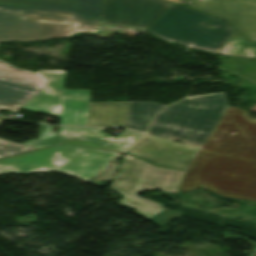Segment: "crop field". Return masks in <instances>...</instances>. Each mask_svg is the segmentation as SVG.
<instances>
[{
  "instance_id": "obj_1",
  "label": "crop field",
  "mask_w": 256,
  "mask_h": 256,
  "mask_svg": "<svg viewBox=\"0 0 256 256\" xmlns=\"http://www.w3.org/2000/svg\"><path fill=\"white\" fill-rule=\"evenodd\" d=\"M189 170L256 183V120L229 106Z\"/></svg>"
},
{
  "instance_id": "obj_2",
  "label": "crop field",
  "mask_w": 256,
  "mask_h": 256,
  "mask_svg": "<svg viewBox=\"0 0 256 256\" xmlns=\"http://www.w3.org/2000/svg\"><path fill=\"white\" fill-rule=\"evenodd\" d=\"M102 0H0V41L43 39L38 21H100Z\"/></svg>"
},
{
  "instance_id": "obj_3",
  "label": "crop field",
  "mask_w": 256,
  "mask_h": 256,
  "mask_svg": "<svg viewBox=\"0 0 256 256\" xmlns=\"http://www.w3.org/2000/svg\"><path fill=\"white\" fill-rule=\"evenodd\" d=\"M227 107L224 93L190 96L157 115L149 134L202 148Z\"/></svg>"
},
{
  "instance_id": "obj_4",
  "label": "crop field",
  "mask_w": 256,
  "mask_h": 256,
  "mask_svg": "<svg viewBox=\"0 0 256 256\" xmlns=\"http://www.w3.org/2000/svg\"><path fill=\"white\" fill-rule=\"evenodd\" d=\"M185 173L157 168L126 154L111 188L124 195L120 202L136 208L148 217V221L162 226L171 216L181 217V213L163 210L162 205L137 196L151 189L177 193Z\"/></svg>"
},
{
  "instance_id": "obj_5",
  "label": "crop field",
  "mask_w": 256,
  "mask_h": 256,
  "mask_svg": "<svg viewBox=\"0 0 256 256\" xmlns=\"http://www.w3.org/2000/svg\"><path fill=\"white\" fill-rule=\"evenodd\" d=\"M120 154L96 148L54 146L0 160V174L27 173L42 166L87 181Z\"/></svg>"
},
{
  "instance_id": "obj_6",
  "label": "crop field",
  "mask_w": 256,
  "mask_h": 256,
  "mask_svg": "<svg viewBox=\"0 0 256 256\" xmlns=\"http://www.w3.org/2000/svg\"><path fill=\"white\" fill-rule=\"evenodd\" d=\"M233 30L226 22L175 4L147 31L170 42L218 53Z\"/></svg>"
},
{
  "instance_id": "obj_7",
  "label": "crop field",
  "mask_w": 256,
  "mask_h": 256,
  "mask_svg": "<svg viewBox=\"0 0 256 256\" xmlns=\"http://www.w3.org/2000/svg\"><path fill=\"white\" fill-rule=\"evenodd\" d=\"M173 5L165 0H104L101 23L147 30Z\"/></svg>"
},
{
  "instance_id": "obj_8",
  "label": "crop field",
  "mask_w": 256,
  "mask_h": 256,
  "mask_svg": "<svg viewBox=\"0 0 256 256\" xmlns=\"http://www.w3.org/2000/svg\"><path fill=\"white\" fill-rule=\"evenodd\" d=\"M212 16L226 20L242 34L256 40V0H178Z\"/></svg>"
},
{
  "instance_id": "obj_9",
  "label": "crop field",
  "mask_w": 256,
  "mask_h": 256,
  "mask_svg": "<svg viewBox=\"0 0 256 256\" xmlns=\"http://www.w3.org/2000/svg\"><path fill=\"white\" fill-rule=\"evenodd\" d=\"M199 151V149L146 135L127 153L158 166L188 170Z\"/></svg>"
},
{
  "instance_id": "obj_10",
  "label": "crop field",
  "mask_w": 256,
  "mask_h": 256,
  "mask_svg": "<svg viewBox=\"0 0 256 256\" xmlns=\"http://www.w3.org/2000/svg\"><path fill=\"white\" fill-rule=\"evenodd\" d=\"M103 129L59 126L58 144H73L81 146L98 147L123 152L130 145L140 139L144 134L125 130L116 137L101 132Z\"/></svg>"
},
{
  "instance_id": "obj_11",
  "label": "crop field",
  "mask_w": 256,
  "mask_h": 256,
  "mask_svg": "<svg viewBox=\"0 0 256 256\" xmlns=\"http://www.w3.org/2000/svg\"><path fill=\"white\" fill-rule=\"evenodd\" d=\"M40 89V87L0 77V109L3 108L15 112L20 104L27 101ZM2 122L0 120V124ZM32 150L36 149L0 139V158Z\"/></svg>"
},
{
  "instance_id": "obj_12",
  "label": "crop field",
  "mask_w": 256,
  "mask_h": 256,
  "mask_svg": "<svg viewBox=\"0 0 256 256\" xmlns=\"http://www.w3.org/2000/svg\"><path fill=\"white\" fill-rule=\"evenodd\" d=\"M182 183L201 186L225 198L256 202V184L187 171Z\"/></svg>"
},
{
  "instance_id": "obj_13",
  "label": "crop field",
  "mask_w": 256,
  "mask_h": 256,
  "mask_svg": "<svg viewBox=\"0 0 256 256\" xmlns=\"http://www.w3.org/2000/svg\"><path fill=\"white\" fill-rule=\"evenodd\" d=\"M90 90H64L60 124L86 126Z\"/></svg>"
},
{
  "instance_id": "obj_14",
  "label": "crop field",
  "mask_w": 256,
  "mask_h": 256,
  "mask_svg": "<svg viewBox=\"0 0 256 256\" xmlns=\"http://www.w3.org/2000/svg\"><path fill=\"white\" fill-rule=\"evenodd\" d=\"M129 102H90L88 126L125 127Z\"/></svg>"
},
{
  "instance_id": "obj_15",
  "label": "crop field",
  "mask_w": 256,
  "mask_h": 256,
  "mask_svg": "<svg viewBox=\"0 0 256 256\" xmlns=\"http://www.w3.org/2000/svg\"><path fill=\"white\" fill-rule=\"evenodd\" d=\"M163 107L152 102H130L126 127L146 133L148 123Z\"/></svg>"
},
{
  "instance_id": "obj_16",
  "label": "crop field",
  "mask_w": 256,
  "mask_h": 256,
  "mask_svg": "<svg viewBox=\"0 0 256 256\" xmlns=\"http://www.w3.org/2000/svg\"><path fill=\"white\" fill-rule=\"evenodd\" d=\"M219 53L230 56L256 57V41L248 40L235 30Z\"/></svg>"
},
{
  "instance_id": "obj_17",
  "label": "crop field",
  "mask_w": 256,
  "mask_h": 256,
  "mask_svg": "<svg viewBox=\"0 0 256 256\" xmlns=\"http://www.w3.org/2000/svg\"><path fill=\"white\" fill-rule=\"evenodd\" d=\"M38 23L42 28L44 39L68 35L75 30L94 31L98 27V25L86 26L75 21H72L71 23H52V22H38Z\"/></svg>"
},
{
  "instance_id": "obj_18",
  "label": "crop field",
  "mask_w": 256,
  "mask_h": 256,
  "mask_svg": "<svg viewBox=\"0 0 256 256\" xmlns=\"http://www.w3.org/2000/svg\"><path fill=\"white\" fill-rule=\"evenodd\" d=\"M61 99V97L41 92L32 100L24 104L22 108L46 114L59 103H61Z\"/></svg>"
},
{
  "instance_id": "obj_19",
  "label": "crop field",
  "mask_w": 256,
  "mask_h": 256,
  "mask_svg": "<svg viewBox=\"0 0 256 256\" xmlns=\"http://www.w3.org/2000/svg\"><path fill=\"white\" fill-rule=\"evenodd\" d=\"M0 75L41 87L39 78L28 72H17L9 67L0 65Z\"/></svg>"
},
{
  "instance_id": "obj_20",
  "label": "crop field",
  "mask_w": 256,
  "mask_h": 256,
  "mask_svg": "<svg viewBox=\"0 0 256 256\" xmlns=\"http://www.w3.org/2000/svg\"><path fill=\"white\" fill-rule=\"evenodd\" d=\"M38 74L43 78L45 82V88L54 90L62 93V85H63V76L64 72L61 71H53L46 72L40 71Z\"/></svg>"
},
{
  "instance_id": "obj_21",
  "label": "crop field",
  "mask_w": 256,
  "mask_h": 256,
  "mask_svg": "<svg viewBox=\"0 0 256 256\" xmlns=\"http://www.w3.org/2000/svg\"><path fill=\"white\" fill-rule=\"evenodd\" d=\"M118 163H112L108 166V168L101 174L99 175L97 178V180L102 181L105 179H112L114 177V173L117 169Z\"/></svg>"
},
{
  "instance_id": "obj_22",
  "label": "crop field",
  "mask_w": 256,
  "mask_h": 256,
  "mask_svg": "<svg viewBox=\"0 0 256 256\" xmlns=\"http://www.w3.org/2000/svg\"><path fill=\"white\" fill-rule=\"evenodd\" d=\"M60 106L61 104H59L57 107H55L53 110H51L49 113H47V115H51L54 117H58L59 118V114H60Z\"/></svg>"
},
{
  "instance_id": "obj_23",
  "label": "crop field",
  "mask_w": 256,
  "mask_h": 256,
  "mask_svg": "<svg viewBox=\"0 0 256 256\" xmlns=\"http://www.w3.org/2000/svg\"><path fill=\"white\" fill-rule=\"evenodd\" d=\"M195 188H199V187L182 184L178 193L183 192V191H187V190H191V189H195Z\"/></svg>"
},
{
  "instance_id": "obj_24",
  "label": "crop field",
  "mask_w": 256,
  "mask_h": 256,
  "mask_svg": "<svg viewBox=\"0 0 256 256\" xmlns=\"http://www.w3.org/2000/svg\"><path fill=\"white\" fill-rule=\"evenodd\" d=\"M43 92H47V93H51V94H55V95H58V96H61L62 97V94L61 93H57V92H53V91H50V90H46L44 89Z\"/></svg>"
},
{
  "instance_id": "obj_25",
  "label": "crop field",
  "mask_w": 256,
  "mask_h": 256,
  "mask_svg": "<svg viewBox=\"0 0 256 256\" xmlns=\"http://www.w3.org/2000/svg\"><path fill=\"white\" fill-rule=\"evenodd\" d=\"M40 171H49V169H45V168L40 167V168H38V169H36V170H34L32 172H40Z\"/></svg>"
}]
</instances>
